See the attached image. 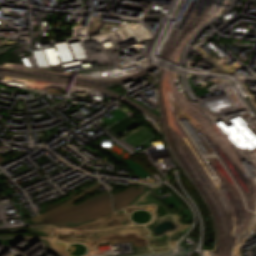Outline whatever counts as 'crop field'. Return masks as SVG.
<instances>
[{"label":"crop field","mask_w":256,"mask_h":256,"mask_svg":"<svg viewBox=\"0 0 256 256\" xmlns=\"http://www.w3.org/2000/svg\"><path fill=\"white\" fill-rule=\"evenodd\" d=\"M144 186L145 185H140L139 189H136L135 187H129L124 191L112 194L113 202L116 203V205L113 206L114 211L122 208L123 206L133 201L138 194L143 192Z\"/></svg>","instance_id":"obj_2"},{"label":"crop field","mask_w":256,"mask_h":256,"mask_svg":"<svg viewBox=\"0 0 256 256\" xmlns=\"http://www.w3.org/2000/svg\"><path fill=\"white\" fill-rule=\"evenodd\" d=\"M118 163L123 162L126 166H128L136 175L141 176L142 178H145L149 176L148 174L140 164L135 162L134 160H122V159H117L116 160Z\"/></svg>","instance_id":"obj_3"},{"label":"crop field","mask_w":256,"mask_h":256,"mask_svg":"<svg viewBox=\"0 0 256 256\" xmlns=\"http://www.w3.org/2000/svg\"><path fill=\"white\" fill-rule=\"evenodd\" d=\"M101 183H97L85 191L79 193L69 201L62 205L49 210L41 215L31 218L33 221H37L40 224L43 223H55V222H67V221H84L96 217L103 216L112 212L111 200L106 193L93 200L91 198L82 201L81 203L74 205L73 202L83 197L85 194L101 187Z\"/></svg>","instance_id":"obj_1"}]
</instances>
